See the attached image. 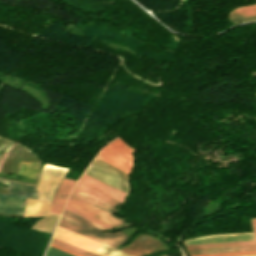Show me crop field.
Listing matches in <instances>:
<instances>
[{
    "mask_svg": "<svg viewBox=\"0 0 256 256\" xmlns=\"http://www.w3.org/2000/svg\"><path fill=\"white\" fill-rule=\"evenodd\" d=\"M57 225L60 226V227L65 228V229H68L70 231H73L75 233H78L80 235H83L85 237H88L90 239H93L95 241H98L100 243H103V244H105L107 246H110L112 248H115L116 245L120 244L117 241H114V240L109 239L105 236H102V235H99V234L94 233L92 231H89L87 229H84V228H82L78 225H75L71 222H68V221H66L62 218H60ZM58 226L56 227V230H55L54 236H53L56 239L62 240L64 242H67L69 244H72V245H75L77 247L83 248L85 250H88L90 252L96 253V254L101 255V256H106V255H109V256H129L127 254H124L122 252L114 250V249H112L110 247H107L105 245H102V244L100 245V243H97L95 241L87 239L83 236H80L78 234H75L73 232L65 230V229L60 228ZM95 249H96V251L104 253L106 255L94 251Z\"/></svg>",
    "mask_w": 256,
    "mask_h": 256,
    "instance_id": "obj_1",
    "label": "crop field"
},
{
    "mask_svg": "<svg viewBox=\"0 0 256 256\" xmlns=\"http://www.w3.org/2000/svg\"><path fill=\"white\" fill-rule=\"evenodd\" d=\"M85 174L126 193L129 191L128 174L97 157L86 170Z\"/></svg>",
    "mask_w": 256,
    "mask_h": 256,
    "instance_id": "obj_2",
    "label": "crop field"
},
{
    "mask_svg": "<svg viewBox=\"0 0 256 256\" xmlns=\"http://www.w3.org/2000/svg\"><path fill=\"white\" fill-rule=\"evenodd\" d=\"M132 150L118 137L104 147L97 157L129 174L132 167V155L129 152Z\"/></svg>",
    "mask_w": 256,
    "mask_h": 256,
    "instance_id": "obj_3",
    "label": "crop field"
},
{
    "mask_svg": "<svg viewBox=\"0 0 256 256\" xmlns=\"http://www.w3.org/2000/svg\"><path fill=\"white\" fill-rule=\"evenodd\" d=\"M71 195L111 215L115 210L109 206L116 207L120 203L79 182L75 185Z\"/></svg>",
    "mask_w": 256,
    "mask_h": 256,
    "instance_id": "obj_4",
    "label": "crop field"
},
{
    "mask_svg": "<svg viewBox=\"0 0 256 256\" xmlns=\"http://www.w3.org/2000/svg\"><path fill=\"white\" fill-rule=\"evenodd\" d=\"M67 170L68 169L45 164L38 184V194L40 199L51 201L61 179Z\"/></svg>",
    "mask_w": 256,
    "mask_h": 256,
    "instance_id": "obj_5",
    "label": "crop field"
},
{
    "mask_svg": "<svg viewBox=\"0 0 256 256\" xmlns=\"http://www.w3.org/2000/svg\"><path fill=\"white\" fill-rule=\"evenodd\" d=\"M67 206L73 208V209H76L82 213H85L97 220H99L100 222L104 223L105 225L111 227V228H114L122 223H124V221L116 218V217H113V216H110L74 197H70L68 203H67Z\"/></svg>",
    "mask_w": 256,
    "mask_h": 256,
    "instance_id": "obj_6",
    "label": "crop field"
},
{
    "mask_svg": "<svg viewBox=\"0 0 256 256\" xmlns=\"http://www.w3.org/2000/svg\"><path fill=\"white\" fill-rule=\"evenodd\" d=\"M255 240L253 233L200 237L186 240V245Z\"/></svg>",
    "mask_w": 256,
    "mask_h": 256,
    "instance_id": "obj_7",
    "label": "crop field"
},
{
    "mask_svg": "<svg viewBox=\"0 0 256 256\" xmlns=\"http://www.w3.org/2000/svg\"><path fill=\"white\" fill-rule=\"evenodd\" d=\"M61 217L68 220V221H71L75 224H78V225H80L84 228L93 230L97 233H100L102 235L108 236L110 238L116 239V240L121 241V242H124L128 238V237H126V236H124V235H122L118 232H116L114 234L98 232L96 230H100V231H107V230H104L100 226H98V225H96V224H94V223H92V222H90V221H88V220H86V219H84L80 216H77V215H75V214H73V213H71V212H69L65 209L63 210V213H62Z\"/></svg>",
    "mask_w": 256,
    "mask_h": 256,
    "instance_id": "obj_8",
    "label": "crop field"
},
{
    "mask_svg": "<svg viewBox=\"0 0 256 256\" xmlns=\"http://www.w3.org/2000/svg\"><path fill=\"white\" fill-rule=\"evenodd\" d=\"M75 181L63 179L51 203L50 211L60 214Z\"/></svg>",
    "mask_w": 256,
    "mask_h": 256,
    "instance_id": "obj_9",
    "label": "crop field"
},
{
    "mask_svg": "<svg viewBox=\"0 0 256 256\" xmlns=\"http://www.w3.org/2000/svg\"><path fill=\"white\" fill-rule=\"evenodd\" d=\"M190 255L256 250L255 244L187 249Z\"/></svg>",
    "mask_w": 256,
    "mask_h": 256,
    "instance_id": "obj_10",
    "label": "crop field"
},
{
    "mask_svg": "<svg viewBox=\"0 0 256 256\" xmlns=\"http://www.w3.org/2000/svg\"><path fill=\"white\" fill-rule=\"evenodd\" d=\"M80 182L94 188V189H97L103 193H105L106 195L118 200V201H122L123 198L126 196V193L124 192H121L119 190H116L114 188H111L85 174H83V176L80 178L79 180ZM125 199V198H124Z\"/></svg>",
    "mask_w": 256,
    "mask_h": 256,
    "instance_id": "obj_11",
    "label": "crop field"
},
{
    "mask_svg": "<svg viewBox=\"0 0 256 256\" xmlns=\"http://www.w3.org/2000/svg\"><path fill=\"white\" fill-rule=\"evenodd\" d=\"M49 208V203L40 200H26L24 215L26 217H41L46 216Z\"/></svg>",
    "mask_w": 256,
    "mask_h": 256,
    "instance_id": "obj_12",
    "label": "crop field"
},
{
    "mask_svg": "<svg viewBox=\"0 0 256 256\" xmlns=\"http://www.w3.org/2000/svg\"><path fill=\"white\" fill-rule=\"evenodd\" d=\"M228 17L233 23L256 20V5L232 10Z\"/></svg>",
    "mask_w": 256,
    "mask_h": 256,
    "instance_id": "obj_13",
    "label": "crop field"
},
{
    "mask_svg": "<svg viewBox=\"0 0 256 256\" xmlns=\"http://www.w3.org/2000/svg\"><path fill=\"white\" fill-rule=\"evenodd\" d=\"M58 217L59 215L48 213L46 217L38 220L33 228L52 233Z\"/></svg>",
    "mask_w": 256,
    "mask_h": 256,
    "instance_id": "obj_14",
    "label": "crop field"
},
{
    "mask_svg": "<svg viewBox=\"0 0 256 256\" xmlns=\"http://www.w3.org/2000/svg\"><path fill=\"white\" fill-rule=\"evenodd\" d=\"M38 162H20L19 170L16 175L25 177H36Z\"/></svg>",
    "mask_w": 256,
    "mask_h": 256,
    "instance_id": "obj_15",
    "label": "crop field"
},
{
    "mask_svg": "<svg viewBox=\"0 0 256 256\" xmlns=\"http://www.w3.org/2000/svg\"><path fill=\"white\" fill-rule=\"evenodd\" d=\"M51 243L54 244V245L60 246V247H62V248H65V249H67V250L73 251V252H75V253H78V254H80V255H83V256H98V255H96V254L90 253V252L85 251V250H83V249H80V248H77V247H75V246H72V245H69V244H67V243H64V242H62V241L56 240V239H54V238L52 239V242H51Z\"/></svg>",
    "mask_w": 256,
    "mask_h": 256,
    "instance_id": "obj_16",
    "label": "crop field"
},
{
    "mask_svg": "<svg viewBox=\"0 0 256 256\" xmlns=\"http://www.w3.org/2000/svg\"><path fill=\"white\" fill-rule=\"evenodd\" d=\"M46 256H73V255L68 254L66 252H63L61 250H58V249L50 246L46 253Z\"/></svg>",
    "mask_w": 256,
    "mask_h": 256,
    "instance_id": "obj_17",
    "label": "crop field"
},
{
    "mask_svg": "<svg viewBox=\"0 0 256 256\" xmlns=\"http://www.w3.org/2000/svg\"><path fill=\"white\" fill-rule=\"evenodd\" d=\"M249 243H255V241L235 242V243H221V244H207V245H193V246H186V247L187 248H193V247H207V246H221V245H235V244H249Z\"/></svg>",
    "mask_w": 256,
    "mask_h": 256,
    "instance_id": "obj_18",
    "label": "crop field"
},
{
    "mask_svg": "<svg viewBox=\"0 0 256 256\" xmlns=\"http://www.w3.org/2000/svg\"><path fill=\"white\" fill-rule=\"evenodd\" d=\"M65 209H67V210H69V211H71V212H73L75 214H78V215H80V216H82V217H84V218H86V219H88V220H90V221H92V222L102 226V227L109 228V227L105 226L104 224L100 223L99 221H97V220H95V219H93V218H91V217H89V216H87L85 214H82V213H80V212H78L76 210H73V209H71V208H69L67 206H65Z\"/></svg>",
    "mask_w": 256,
    "mask_h": 256,
    "instance_id": "obj_19",
    "label": "crop field"
},
{
    "mask_svg": "<svg viewBox=\"0 0 256 256\" xmlns=\"http://www.w3.org/2000/svg\"><path fill=\"white\" fill-rule=\"evenodd\" d=\"M250 254H256V251L237 252V253H224V254H210V255H196V256H233V255H250Z\"/></svg>",
    "mask_w": 256,
    "mask_h": 256,
    "instance_id": "obj_20",
    "label": "crop field"
},
{
    "mask_svg": "<svg viewBox=\"0 0 256 256\" xmlns=\"http://www.w3.org/2000/svg\"><path fill=\"white\" fill-rule=\"evenodd\" d=\"M50 245H51V244H50ZM51 246H53V245H51ZM53 247H56V246H53ZM56 248H58V249H61V248H59V247H56ZM61 250H63V251H66V252H68V253H71V254H73V255H76V256H80V255L74 254V253H72V252H69V251H67V250H64V249H61Z\"/></svg>",
    "mask_w": 256,
    "mask_h": 256,
    "instance_id": "obj_21",
    "label": "crop field"
},
{
    "mask_svg": "<svg viewBox=\"0 0 256 256\" xmlns=\"http://www.w3.org/2000/svg\"><path fill=\"white\" fill-rule=\"evenodd\" d=\"M253 224H254V229H255V234H256V220H253Z\"/></svg>",
    "mask_w": 256,
    "mask_h": 256,
    "instance_id": "obj_22",
    "label": "crop field"
},
{
    "mask_svg": "<svg viewBox=\"0 0 256 256\" xmlns=\"http://www.w3.org/2000/svg\"><path fill=\"white\" fill-rule=\"evenodd\" d=\"M250 256H256V255H250Z\"/></svg>",
    "mask_w": 256,
    "mask_h": 256,
    "instance_id": "obj_23",
    "label": "crop field"
}]
</instances>
